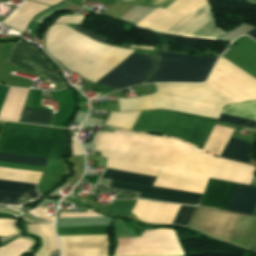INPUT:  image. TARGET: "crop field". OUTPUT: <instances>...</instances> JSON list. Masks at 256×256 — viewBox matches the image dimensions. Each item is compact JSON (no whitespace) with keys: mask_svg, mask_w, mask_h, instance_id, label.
<instances>
[{"mask_svg":"<svg viewBox=\"0 0 256 256\" xmlns=\"http://www.w3.org/2000/svg\"><path fill=\"white\" fill-rule=\"evenodd\" d=\"M95 151L105 158L168 168L222 180L250 184L255 167L220 159L174 139L158 136L98 132Z\"/></svg>","mask_w":256,"mask_h":256,"instance_id":"obj_1","label":"crop field"},{"mask_svg":"<svg viewBox=\"0 0 256 256\" xmlns=\"http://www.w3.org/2000/svg\"><path fill=\"white\" fill-rule=\"evenodd\" d=\"M66 27L51 26L46 34L45 49L69 69L100 44ZM132 52L101 44L69 70L95 82Z\"/></svg>","mask_w":256,"mask_h":256,"instance_id":"obj_2","label":"crop field"},{"mask_svg":"<svg viewBox=\"0 0 256 256\" xmlns=\"http://www.w3.org/2000/svg\"><path fill=\"white\" fill-rule=\"evenodd\" d=\"M66 130L5 122L0 152L63 160L69 155Z\"/></svg>","mask_w":256,"mask_h":256,"instance_id":"obj_3","label":"crop field"},{"mask_svg":"<svg viewBox=\"0 0 256 256\" xmlns=\"http://www.w3.org/2000/svg\"><path fill=\"white\" fill-rule=\"evenodd\" d=\"M155 86L157 92L151 96L156 109L218 118L222 107L233 103L206 84H155Z\"/></svg>","mask_w":256,"mask_h":256,"instance_id":"obj_4","label":"crop field"},{"mask_svg":"<svg viewBox=\"0 0 256 256\" xmlns=\"http://www.w3.org/2000/svg\"><path fill=\"white\" fill-rule=\"evenodd\" d=\"M215 122L173 112L148 111L141 112L132 130L178 137L203 148Z\"/></svg>","mask_w":256,"mask_h":256,"instance_id":"obj_5","label":"crop field"},{"mask_svg":"<svg viewBox=\"0 0 256 256\" xmlns=\"http://www.w3.org/2000/svg\"><path fill=\"white\" fill-rule=\"evenodd\" d=\"M216 58L157 52V66L146 83L204 82Z\"/></svg>","mask_w":256,"mask_h":256,"instance_id":"obj_6","label":"crop field"},{"mask_svg":"<svg viewBox=\"0 0 256 256\" xmlns=\"http://www.w3.org/2000/svg\"><path fill=\"white\" fill-rule=\"evenodd\" d=\"M236 183L209 179L200 205L224 210ZM256 205V187L236 184L226 211L251 215Z\"/></svg>","mask_w":256,"mask_h":256,"instance_id":"obj_7","label":"crop field"},{"mask_svg":"<svg viewBox=\"0 0 256 256\" xmlns=\"http://www.w3.org/2000/svg\"><path fill=\"white\" fill-rule=\"evenodd\" d=\"M118 239L115 256L183 254L174 233L170 230L146 231L142 239Z\"/></svg>","mask_w":256,"mask_h":256,"instance_id":"obj_8","label":"crop field"},{"mask_svg":"<svg viewBox=\"0 0 256 256\" xmlns=\"http://www.w3.org/2000/svg\"><path fill=\"white\" fill-rule=\"evenodd\" d=\"M153 65L154 57L132 54L96 83L116 89L141 84Z\"/></svg>","mask_w":256,"mask_h":256,"instance_id":"obj_9","label":"crop field"},{"mask_svg":"<svg viewBox=\"0 0 256 256\" xmlns=\"http://www.w3.org/2000/svg\"><path fill=\"white\" fill-rule=\"evenodd\" d=\"M165 33L204 39H215L224 34L216 26L206 1Z\"/></svg>","mask_w":256,"mask_h":256,"instance_id":"obj_10","label":"crop field"},{"mask_svg":"<svg viewBox=\"0 0 256 256\" xmlns=\"http://www.w3.org/2000/svg\"><path fill=\"white\" fill-rule=\"evenodd\" d=\"M6 62L65 86L44 56L20 40L14 43Z\"/></svg>","mask_w":256,"mask_h":256,"instance_id":"obj_11","label":"crop field"},{"mask_svg":"<svg viewBox=\"0 0 256 256\" xmlns=\"http://www.w3.org/2000/svg\"><path fill=\"white\" fill-rule=\"evenodd\" d=\"M233 130L232 128L215 125L204 149L220 156ZM251 148L252 145L244 141L230 138L220 157L246 163Z\"/></svg>","mask_w":256,"mask_h":256,"instance_id":"obj_12","label":"crop field"},{"mask_svg":"<svg viewBox=\"0 0 256 256\" xmlns=\"http://www.w3.org/2000/svg\"><path fill=\"white\" fill-rule=\"evenodd\" d=\"M205 0H177L166 9L156 8L136 26L164 33Z\"/></svg>","mask_w":256,"mask_h":256,"instance_id":"obj_13","label":"crop field"},{"mask_svg":"<svg viewBox=\"0 0 256 256\" xmlns=\"http://www.w3.org/2000/svg\"><path fill=\"white\" fill-rule=\"evenodd\" d=\"M62 256H106L108 235L58 236Z\"/></svg>","mask_w":256,"mask_h":256,"instance_id":"obj_14","label":"crop field"},{"mask_svg":"<svg viewBox=\"0 0 256 256\" xmlns=\"http://www.w3.org/2000/svg\"><path fill=\"white\" fill-rule=\"evenodd\" d=\"M221 59L256 80V42L249 37L234 40Z\"/></svg>","mask_w":256,"mask_h":256,"instance_id":"obj_15","label":"crop field"},{"mask_svg":"<svg viewBox=\"0 0 256 256\" xmlns=\"http://www.w3.org/2000/svg\"><path fill=\"white\" fill-rule=\"evenodd\" d=\"M110 188L140 193L139 197L195 205L202 195L112 180Z\"/></svg>","mask_w":256,"mask_h":256,"instance_id":"obj_16","label":"crop field"},{"mask_svg":"<svg viewBox=\"0 0 256 256\" xmlns=\"http://www.w3.org/2000/svg\"><path fill=\"white\" fill-rule=\"evenodd\" d=\"M207 179L206 177L161 169L154 186L202 194Z\"/></svg>","mask_w":256,"mask_h":256,"instance_id":"obj_17","label":"crop field"},{"mask_svg":"<svg viewBox=\"0 0 256 256\" xmlns=\"http://www.w3.org/2000/svg\"><path fill=\"white\" fill-rule=\"evenodd\" d=\"M180 206L137 200L132 213L146 223L171 224Z\"/></svg>","mask_w":256,"mask_h":256,"instance_id":"obj_18","label":"crop field"},{"mask_svg":"<svg viewBox=\"0 0 256 256\" xmlns=\"http://www.w3.org/2000/svg\"><path fill=\"white\" fill-rule=\"evenodd\" d=\"M28 229L29 232L39 235L43 241V247L36 255L48 256L50 251L59 250L53 223L28 225Z\"/></svg>","mask_w":256,"mask_h":256,"instance_id":"obj_19","label":"crop field"},{"mask_svg":"<svg viewBox=\"0 0 256 256\" xmlns=\"http://www.w3.org/2000/svg\"><path fill=\"white\" fill-rule=\"evenodd\" d=\"M117 100L121 111L155 109L150 95Z\"/></svg>","mask_w":256,"mask_h":256,"instance_id":"obj_20","label":"crop field"},{"mask_svg":"<svg viewBox=\"0 0 256 256\" xmlns=\"http://www.w3.org/2000/svg\"><path fill=\"white\" fill-rule=\"evenodd\" d=\"M41 173L0 168V179L37 183Z\"/></svg>","mask_w":256,"mask_h":256,"instance_id":"obj_21","label":"crop field"},{"mask_svg":"<svg viewBox=\"0 0 256 256\" xmlns=\"http://www.w3.org/2000/svg\"><path fill=\"white\" fill-rule=\"evenodd\" d=\"M50 118V111L24 108L19 122L49 126Z\"/></svg>","mask_w":256,"mask_h":256,"instance_id":"obj_22","label":"crop field"},{"mask_svg":"<svg viewBox=\"0 0 256 256\" xmlns=\"http://www.w3.org/2000/svg\"><path fill=\"white\" fill-rule=\"evenodd\" d=\"M102 177L121 180V181H127V182H133V183H139V184H145V185H151V186L153 185V182L155 179L152 177L140 176V175L129 174V173L113 171L108 169L105 170Z\"/></svg>","mask_w":256,"mask_h":256,"instance_id":"obj_23","label":"crop field"},{"mask_svg":"<svg viewBox=\"0 0 256 256\" xmlns=\"http://www.w3.org/2000/svg\"><path fill=\"white\" fill-rule=\"evenodd\" d=\"M106 167L113 168V169L136 172V173L145 174V175H153V176L157 175V172H158V169H159V168H156V167L125 163V162L109 160V159L107 161Z\"/></svg>","mask_w":256,"mask_h":256,"instance_id":"obj_24","label":"crop field"},{"mask_svg":"<svg viewBox=\"0 0 256 256\" xmlns=\"http://www.w3.org/2000/svg\"><path fill=\"white\" fill-rule=\"evenodd\" d=\"M139 114H140V112L110 113L105 124L131 130V128H132L133 124L135 123L136 119L138 118Z\"/></svg>","mask_w":256,"mask_h":256,"instance_id":"obj_25","label":"crop field"},{"mask_svg":"<svg viewBox=\"0 0 256 256\" xmlns=\"http://www.w3.org/2000/svg\"><path fill=\"white\" fill-rule=\"evenodd\" d=\"M58 235L108 234L109 226L57 228Z\"/></svg>","mask_w":256,"mask_h":256,"instance_id":"obj_26","label":"crop field"},{"mask_svg":"<svg viewBox=\"0 0 256 256\" xmlns=\"http://www.w3.org/2000/svg\"><path fill=\"white\" fill-rule=\"evenodd\" d=\"M39 197L36 191L26 194L10 193L0 191V204H12L21 206L26 202Z\"/></svg>","mask_w":256,"mask_h":256,"instance_id":"obj_27","label":"crop field"},{"mask_svg":"<svg viewBox=\"0 0 256 256\" xmlns=\"http://www.w3.org/2000/svg\"><path fill=\"white\" fill-rule=\"evenodd\" d=\"M31 245V241L17 239L0 248V256H18L26 251Z\"/></svg>","mask_w":256,"mask_h":256,"instance_id":"obj_28","label":"crop field"},{"mask_svg":"<svg viewBox=\"0 0 256 256\" xmlns=\"http://www.w3.org/2000/svg\"><path fill=\"white\" fill-rule=\"evenodd\" d=\"M0 161L44 166L47 159L27 157V156H18V155H9V154H1L0 153Z\"/></svg>","mask_w":256,"mask_h":256,"instance_id":"obj_29","label":"crop field"},{"mask_svg":"<svg viewBox=\"0 0 256 256\" xmlns=\"http://www.w3.org/2000/svg\"><path fill=\"white\" fill-rule=\"evenodd\" d=\"M135 202L136 200H114L108 212L129 216Z\"/></svg>","mask_w":256,"mask_h":256,"instance_id":"obj_30","label":"crop field"},{"mask_svg":"<svg viewBox=\"0 0 256 256\" xmlns=\"http://www.w3.org/2000/svg\"><path fill=\"white\" fill-rule=\"evenodd\" d=\"M195 207L182 205L176 217L174 218L172 225L186 227Z\"/></svg>","mask_w":256,"mask_h":256,"instance_id":"obj_31","label":"crop field"},{"mask_svg":"<svg viewBox=\"0 0 256 256\" xmlns=\"http://www.w3.org/2000/svg\"><path fill=\"white\" fill-rule=\"evenodd\" d=\"M26 16V15H25ZM21 14L14 12L5 22L4 24L13 27L21 32H23L24 28L28 24L30 18L25 17Z\"/></svg>","mask_w":256,"mask_h":256,"instance_id":"obj_32","label":"crop field"},{"mask_svg":"<svg viewBox=\"0 0 256 256\" xmlns=\"http://www.w3.org/2000/svg\"><path fill=\"white\" fill-rule=\"evenodd\" d=\"M35 189V185L12 183L0 181V190L24 193L29 190Z\"/></svg>","mask_w":256,"mask_h":256,"instance_id":"obj_33","label":"crop field"},{"mask_svg":"<svg viewBox=\"0 0 256 256\" xmlns=\"http://www.w3.org/2000/svg\"><path fill=\"white\" fill-rule=\"evenodd\" d=\"M218 120L227 122V123H231V124H236V125L252 128V129H254L255 125H256L255 121L237 118V117L228 116V115H223V114L220 115Z\"/></svg>","mask_w":256,"mask_h":256,"instance_id":"obj_34","label":"crop field"},{"mask_svg":"<svg viewBox=\"0 0 256 256\" xmlns=\"http://www.w3.org/2000/svg\"><path fill=\"white\" fill-rule=\"evenodd\" d=\"M60 177L43 174L40 183L37 185L38 192L42 195L49 190Z\"/></svg>","mask_w":256,"mask_h":256,"instance_id":"obj_35","label":"crop field"},{"mask_svg":"<svg viewBox=\"0 0 256 256\" xmlns=\"http://www.w3.org/2000/svg\"><path fill=\"white\" fill-rule=\"evenodd\" d=\"M175 0H129L126 3L166 8Z\"/></svg>","mask_w":256,"mask_h":256,"instance_id":"obj_36","label":"crop field"},{"mask_svg":"<svg viewBox=\"0 0 256 256\" xmlns=\"http://www.w3.org/2000/svg\"><path fill=\"white\" fill-rule=\"evenodd\" d=\"M14 220H4L0 219V236H8L15 234V227L12 225Z\"/></svg>","mask_w":256,"mask_h":256,"instance_id":"obj_37","label":"crop field"},{"mask_svg":"<svg viewBox=\"0 0 256 256\" xmlns=\"http://www.w3.org/2000/svg\"><path fill=\"white\" fill-rule=\"evenodd\" d=\"M0 167L38 171V172H42L44 168L40 166L23 165V164H15V163H7V162H0Z\"/></svg>","mask_w":256,"mask_h":256,"instance_id":"obj_38","label":"crop field"},{"mask_svg":"<svg viewBox=\"0 0 256 256\" xmlns=\"http://www.w3.org/2000/svg\"><path fill=\"white\" fill-rule=\"evenodd\" d=\"M64 168L60 164L59 161L50 160L44 173L46 174H54V175H62Z\"/></svg>","mask_w":256,"mask_h":256,"instance_id":"obj_39","label":"crop field"},{"mask_svg":"<svg viewBox=\"0 0 256 256\" xmlns=\"http://www.w3.org/2000/svg\"><path fill=\"white\" fill-rule=\"evenodd\" d=\"M70 4H71V3L65 1V2H63V3L59 4V5H57L56 7H54V8H52V9H50V10H48V11H46V12L40 14V15L35 19V21H37V22L40 23L44 18H46V17H48L49 15H51V14H53V13H55V12H57V11L63 9V8H65V7H67V6L70 5Z\"/></svg>","mask_w":256,"mask_h":256,"instance_id":"obj_40","label":"crop field"},{"mask_svg":"<svg viewBox=\"0 0 256 256\" xmlns=\"http://www.w3.org/2000/svg\"><path fill=\"white\" fill-rule=\"evenodd\" d=\"M47 211H48L47 209H43V208L37 207V208L31 210L28 213H30V214H32V215H34L36 217L42 218L44 220H47V221H53L54 217L46 216Z\"/></svg>","mask_w":256,"mask_h":256,"instance_id":"obj_41","label":"crop field"},{"mask_svg":"<svg viewBox=\"0 0 256 256\" xmlns=\"http://www.w3.org/2000/svg\"><path fill=\"white\" fill-rule=\"evenodd\" d=\"M86 16H63L57 22L82 23Z\"/></svg>","mask_w":256,"mask_h":256,"instance_id":"obj_42","label":"crop field"},{"mask_svg":"<svg viewBox=\"0 0 256 256\" xmlns=\"http://www.w3.org/2000/svg\"><path fill=\"white\" fill-rule=\"evenodd\" d=\"M70 140H72L71 143H70V146H71V149H72L71 155H82V154H84L82 149L80 148V146L78 145V143L76 141V137L70 136Z\"/></svg>","mask_w":256,"mask_h":256,"instance_id":"obj_43","label":"crop field"},{"mask_svg":"<svg viewBox=\"0 0 256 256\" xmlns=\"http://www.w3.org/2000/svg\"><path fill=\"white\" fill-rule=\"evenodd\" d=\"M82 216H100L95 212H82V213H65L61 212L59 217H82Z\"/></svg>","mask_w":256,"mask_h":256,"instance_id":"obj_44","label":"crop field"},{"mask_svg":"<svg viewBox=\"0 0 256 256\" xmlns=\"http://www.w3.org/2000/svg\"><path fill=\"white\" fill-rule=\"evenodd\" d=\"M75 30H78V31L84 33L86 36L91 37V38H94V39H96V40H99V41H101V42H103V43H104V41H105V38H103V37H101V36H98V35H96V34H94V33H91V32H89V31H87V30H85V29H82V28L78 27V26H76Z\"/></svg>","mask_w":256,"mask_h":256,"instance_id":"obj_45","label":"crop field"},{"mask_svg":"<svg viewBox=\"0 0 256 256\" xmlns=\"http://www.w3.org/2000/svg\"><path fill=\"white\" fill-rule=\"evenodd\" d=\"M250 185L256 186V177L255 176L253 177L252 182H251ZM252 216L256 217V207H255V210H254ZM250 251H253L254 253H256V237H255V240H254V242H253V244L250 248Z\"/></svg>","mask_w":256,"mask_h":256,"instance_id":"obj_46","label":"crop field"},{"mask_svg":"<svg viewBox=\"0 0 256 256\" xmlns=\"http://www.w3.org/2000/svg\"><path fill=\"white\" fill-rule=\"evenodd\" d=\"M246 34H248L249 36H251L252 38H254L256 40V29H254Z\"/></svg>","mask_w":256,"mask_h":256,"instance_id":"obj_47","label":"crop field"},{"mask_svg":"<svg viewBox=\"0 0 256 256\" xmlns=\"http://www.w3.org/2000/svg\"><path fill=\"white\" fill-rule=\"evenodd\" d=\"M128 47L141 48V49H149V50H153L154 49V48H150V47H141V46H133V45H129Z\"/></svg>","mask_w":256,"mask_h":256,"instance_id":"obj_48","label":"crop field"},{"mask_svg":"<svg viewBox=\"0 0 256 256\" xmlns=\"http://www.w3.org/2000/svg\"><path fill=\"white\" fill-rule=\"evenodd\" d=\"M69 1L74 2L80 6L82 5V0H69Z\"/></svg>","mask_w":256,"mask_h":256,"instance_id":"obj_49","label":"crop field"},{"mask_svg":"<svg viewBox=\"0 0 256 256\" xmlns=\"http://www.w3.org/2000/svg\"><path fill=\"white\" fill-rule=\"evenodd\" d=\"M158 256H185V255H158Z\"/></svg>","mask_w":256,"mask_h":256,"instance_id":"obj_50","label":"crop field"},{"mask_svg":"<svg viewBox=\"0 0 256 256\" xmlns=\"http://www.w3.org/2000/svg\"><path fill=\"white\" fill-rule=\"evenodd\" d=\"M1 127H2V125H0V132H1Z\"/></svg>","mask_w":256,"mask_h":256,"instance_id":"obj_51","label":"crop field"}]
</instances>
